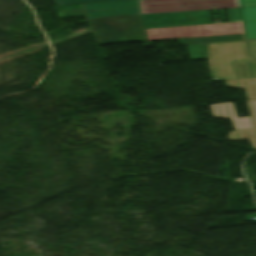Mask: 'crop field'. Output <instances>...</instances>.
I'll return each instance as SVG.
<instances>
[{
  "label": "crop field",
  "mask_w": 256,
  "mask_h": 256,
  "mask_svg": "<svg viewBox=\"0 0 256 256\" xmlns=\"http://www.w3.org/2000/svg\"><path fill=\"white\" fill-rule=\"evenodd\" d=\"M227 11L230 22L217 24H212L209 10L142 17L148 40L178 38L179 43H189L245 39L239 8Z\"/></svg>",
  "instance_id": "8a807250"
},
{
  "label": "crop field",
  "mask_w": 256,
  "mask_h": 256,
  "mask_svg": "<svg viewBox=\"0 0 256 256\" xmlns=\"http://www.w3.org/2000/svg\"><path fill=\"white\" fill-rule=\"evenodd\" d=\"M241 60H256V40L209 44L211 76L221 80L237 79L231 61Z\"/></svg>",
  "instance_id": "ac0d7876"
},
{
  "label": "crop field",
  "mask_w": 256,
  "mask_h": 256,
  "mask_svg": "<svg viewBox=\"0 0 256 256\" xmlns=\"http://www.w3.org/2000/svg\"><path fill=\"white\" fill-rule=\"evenodd\" d=\"M99 43L145 40L139 15L87 21Z\"/></svg>",
  "instance_id": "34b2d1b8"
},
{
  "label": "crop field",
  "mask_w": 256,
  "mask_h": 256,
  "mask_svg": "<svg viewBox=\"0 0 256 256\" xmlns=\"http://www.w3.org/2000/svg\"><path fill=\"white\" fill-rule=\"evenodd\" d=\"M142 14L239 7L238 0H139ZM186 5L187 7H181ZM220 5H222L220 7Z\"/></svg>",
  "instance_id": "412701ff"
},
{
  "label": "crop field",
  "mask_w": 256,
  "mask_h": 256,
  "mask_svg": "<svg viewBox=\"0 0 256 256\" xmlns=\"http://www.w3.org/2000/svg\"><path fill=\"white\" fill-rule=\"evenodd\" d=\"M86 18L140 14L137 0L83 5Z\"/></svg>",
  "instance_id": "f4fd0767"
},
{
  "label": "crop field",
  "mask_w": 256,
  "mask_h": 256,
  "mask_svg": "<svg viewBox=\"0 0 256 256\" xmlns=\"http://www.w3.org/2000/svg\"><path fill=\"white\" fill-rule=\"evenodd\" d=\"M237 78H256V61L232 62Z\"/></svg>",
  "instance_id": "dd49c442"
},
{
  "label": "crop field",
  "mask_w": 256,
  "mask_h": 256,
  "mask_svg": "<svg viewBox=\"0 0 256 256\" xmlns=\"http://www.w3.org/2000/svg\"><path fill=\"white\" fill-rule=\"evenodd\" d=\"M248 39L256 38V7L242 8Z\"/></svg>",
  "instance_id": "e52e79f7"
},
{
  "label": "crop field",
  "mask_w": 256,
  "mask_h": 256,
  "mask_svg": "<svg viewBox=\"0 0 256 256\" xmlns=\"http://www.w3.org/2000/svg\"><path fill=\"white\" fill-rule=\"evenodd\" d=\"M191 60L208 57V44L187 45Z\"/></svg>",
  "instance_id": "d8731c3e"
},
{
  "label": "crop field",
  "mask_w": 256,
  "mask_h": 256,
  "mask_svg": "<svg viewBox=\"0 0 256 256\" xmlns=\"http://www.w3.org/2000/svg\"><path fill=\"white\" fill-rule=\"evenodd\" d=\"M57 5L66 4H88V3H99V2H110V1H121V0H54Z\"/></svg>",
  "instance_id": "5a996713"
},
{
  "label": "crop field",
  "mask_w": 256,
  "mask_h": 256,
  "mask_svg": "<svg viewBox=\"0 0 256 256\" xmlns=\"http://www.w3.org/2000/svg\"><path fill=\"white\" fill-rule=\"evenodd\" d=\"M242 7L256 6V0H241Z\"/></svg>",
  "instance_id": "3316defc"
}]
</instances>
